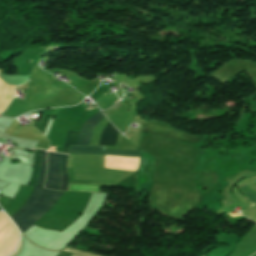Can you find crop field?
Returning <instances> with one entry per match:
<instances>
[{
    "mask_svg": "<svg viewBox=\"0 0 256 256\" xmlns=\"http://www.w3.org/2000/svg\"><path fill=\"white\" fill-rule=\"evenodd\" d=\"M119 100V99H118ZM116 103V102H115Z\"/></svg>",
    "mask_w": 256,
    "mask_h": 256,
    "instance_id": "crop-field-9",
    "label": "crop field"
},
{
    "mask_svg": "<svg viewBox=\"0 0 256 256\" xmlns=\"http://www.w3.org/2000/svg\"><path fill=\"white\" fill-rule=\"evenodd\" d=\"M105 116L99 111L94 116H92L89 120H87L81 128L80 134L77 132L69 131L67 132L63 151L66 153L68 145H75L78 137V141L76 145H89L90 137L92 135L94 127L104 118Z\"/></svg>",
    "mask_w": 256,
    "mask_h": 256,
    "instance_id": "crop-field-2",
    "label": "crop field"
},
{
    "mask_svg": "<svg viewBox=\"0 0 256 256\" xmlns=\"http://www.w3.org/2000/svg\"><path fill=\"white\" fill-rule=\"evenodd\" d=\"M60 156L57 153H48V169L45 181V187L58 190L60 182Z\"/></svg>",
    "mask_w": 256,
    "mask_h": 256,
    "instance_id": "crop-field-3",
    "label": "crop field"
},
{
    "mask_svg": "<svg viewBox=\"0 0 256 256\" xmlns=\"http://www.w3.org/2000/svg\"><path fill=\"white\" fill-rule=\"evenodd\" d=\"M36 157H35V163H34V171L31 179L30 185L35 186L38 172H39V160H40V150H35Z\"/></svg>",
    "mask_w": 256,
    "mask_h": 256,
    "instance_id": "crop-field-7",
    "label": "crop field"
},
{
    "mask_svg": "<svg viewBox=\"0 0 256 256\" xmlns=\"http://www.w3.org/2000/svg\"><path fill=\"white\" fill-rule=\"evenodd\" d=\"M55 149H56V148H53V149H51V150H49V151H55Z\"/></svg>",
    "mask_w": 256,
    "mask_h": 256,
    "instance_id": "crop-field-8",
    "label": "crop field"
},
{
    "mask_svg": "<svg viewBox=\"0 0 256 256\" xmlns=\"http://www.w3.org/2000/svg\"><path fill=\"white\" fill-rule=\"evenodd\" d=\"M51 148V147H50Z\"/></svg>",
    "mask_w": 256,
    "mask_h": 256,
    "instance_id": "crop-field-10",
    "label": "crop field"
},
{
    "mask_svg": "<svg viewBox=\"0 0 256 256\" xmlns=\"http://www.w3.org/2000/svg\"><path fill=\"white\" fill-rule=\"evenodd\" d=\"M67 153H70V154H111V155L139 156V151H124V150L104 151V147H90V146H69Z\"/></svg>",
    "mask_w": 256,
    "mask_h": 256,
    "instance_id": "crop-field-4",
    "label": "crop field"
},
{
    "mask_svg": "<svg viewBox=\"0 0 256 256\" xmlns=\"http://www.w3.org/2000/svg\"><path fill=\"white\" fill-rule=\"evenodd\" d=\"M118 132L119 131H117L114 126L109 122L102 133L99 145L115 146Z\"/></svg>",
    "mask_w": 256,
    "mask_h": 256,
    "instance_id": "crop-field-5",
    "label": "crop field"
},
{
    "mask_svg": "<svg viewBox=\"0 0 256 256\" xmlns=\"http://www.w3.org/2000/svg\"><path fill=\"white\" fill-rule=\"evenodd\" d=\"M66 159H67V155L62 154L61 183H60V189L59 190H67V188H68V176H67V170H66Z\"/></svg>",
    "mask_w": 256,
    "mask_h": 256,
    "instance_id": "crop-field-6",
    "label": "crop field"
},
{
    "mask_svg": "<svg viewBox=\"0 0 256 256\" xmlns=\"http://www.w3.org/2000/svg\"><path fill=\"white\" fill-rule=\"evenodd\" d=\"M46 169V152H41V169L37 186L23 206L10 218L23 234L61 197L63 192L50 191L43 188Z\"/></svg>",
    "mask_w": 256,
    "mask_h": 256,
    "instance_id": "crop-field-1",
    "label": "crop field"
}]
</instances>
